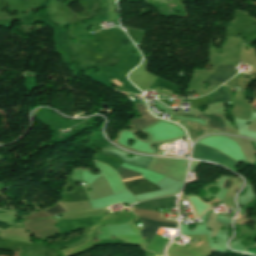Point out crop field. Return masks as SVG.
Returning a JSON list of instances; mask_svg holds the SVG:
<instances>
[{
    "label": "crop field",
    "mask_w": 256,
    "mask_h": 256,
    "mask_svg": "<svg viewBox=\"0 0 256 256\" xmlns=\"http://www.w3.org/2000/svg\"><path fill=\"white\" fill-rule=\"evenodd\" d=\"M115 170L117 171V173L119 174V176L121 177L123 182L144 177L138 171L128 169V168H124V167H119ZM143 179H145V178H143ZM129 182H131V181H129ZM124 185L134 195L141 194V193H146V192H150V191H155V190H160L159 187H157L154 183H152L148 179L140 180V181H136V182H131V183H126Z\"/></svg>",
    "instance_id": "8a807250"
},
{
    "label": "crop field",
    "mask_w": 256,
    "mask_h": 256,
    "mask_svg": "<svg viewBox=\"0 0 256 256\" xmlns=\"http://www.w3.org/2000/svg\"><path fill=\"white\" fill-rule=\"evenodd\" d=\"M176 196L156 199L152 201H144L133 206L135 214H147L157 217H162V213H170V210H162L161 207L176 208L175 206ZM156 209H160L161 212H156Z\"/></svg>",
    "instance_id": "ac0d7876"
},
{
    "label": "crop field",
    "mask_w": 256,
    "mask_h": 256,
    "mask_svg": "<svg viewBox=\"0 0 256 256\" xmlns=\"http://www.w3.org/2000/svg\"><path fill=\"white\" fill-rule=\"evenodd\" d=\"M192 158L211 160L233 169L238 162L226 157L220 152L195 143Z\"/></svg>",
    "instance_id": "34b2d1b8"
},
{
    "label": "crop field",
    "mask_w": 256,
    "mask_h": 256,
    "mask_svg": "<svg viewBox=\"0 0 256 256\" xmlns=\"http://www.w3.org/2000/svg\"><path fill=\"white\" fill-rule=\"evenodd\" d=\"M101 152L107 155L116 156L124 162H127L137 167L145 168V169H147L149 163L153 158V157H146V156L134 155V154H133L134 155L133 158H129L127 157L129 153L120 151L114 148L113 146H110L109 144L103 147Z\"/></svg>",
    "instance_id": "412701ff"
},
{
    "label": "crop field",
    "mask_w": 256,
    "mask_h": 256,
    "mask_svg": "<svg viewBox=\"0 0 256 256\" xmlns=\"http://www.w3.org/2000/svg\"><path fill=\"white\" fill-rule=\"evenodd\" d=\"M134 105L138 112L137 115L141 116V118H133L131 121H129L132 128L131 130L135 132L138 130H142L159 120L158 118L151 115V113L147 109V105L145 104V102L140 103L139 101H134Z\"/></svg>",
    "instance_id": "f4fd0767"
},
{
    "label": "crop field",
    "mask_w": 256,
    "mask_h": 256,
    "mask_svg": "<svg viewBox=\"0 0 256 256\" xmlns=\"http://www.w3.org/2000/svg\"><path fill=\"white\" fill-rule=\"evenodd\" d=\"M235 72L236 70L234 69V66H219L218 69L207 80V82L210 85L223 84V82L230 79Z\"/></svg>",
    "instance_id": "dd49c442"
},
{
    "label": "crop field",
    "mask_w": 256,
    "mask_h": 256,
    "mask_svg": "<svg viewBox=\"0 0 256 256\" xmlns=\"http://www.w3.org/2000/svg\"><path fill=\"white\" fill-rule=\"evenodd\" d=\"M171 114L180 115V116L203 118V119H206L208 126L214 128L216 130H219V131L228 132L222 118L220 116H217V115H214V114L203 113L199 116H195V115H191V114H184V113H171Z\"/></svg>",
    "instance_id": "e52e79f7"
},
{
    "label": "crop field",
    "mask_w": 256,
    "mask_h": 256,
    "mask_svg": "<svg viewBox=\"0 0 256 256\" xmlns=\"http://www.w3.org/2000/svg\"><path fill=\"white\" fill-rule=\"evenodd\" d=\"M137 221L142 222L139 227L141 228L140 231L142 234V238L147 237L146 243L150 241V239L153 237L159 227L175 228V226L172 225L160 224L146 219H138Z\"/></svg>",
    "instance_id": "d8731c3e"
},
{
    "label": "crop field",
    "mask_w": 256,
    "mask_h": 256,
    "mask_svg": "<svg viewBox=\"0 0 256 256\" xmlns=\"http://www.w3.org/2000/svg\"><path fill=\"white\" fill-rule=\"evenodd\" d=\"M230 94H231V89L223 85L213 93L207 95L208 98L210 99V101H208L207 104L217 102V101H231L233 97L230 96Z\"/></svg>",
    "instance_id": "5a996713"
},
{
    "label": "crop field",
    "mask_w": 256,
    "mask_h": 256,
    "mask_svg": "<svg viewBox=\"0 0 256 256\" xmlns=\"http://www.w3.org/2000/svg\"><path fill=\"white\" fill-rule=\"evenodd\" d=\"M187 127L190 131V134H191L193 140H196L197 138L201 137L203 134L212 133L210 131H207L205 129H202L200 127L192 125L190 123H188Z\"/></svg>",
    "instance_id": "3316defc"
},
{
    "label": "crop field",
    "mask_w": 256,
    "mask_h": 256,
    "mask_svg": "<svg viewBox=\"0 0 256 256\" xmlns=\"http://www.w3.org/2000/svg\"><path fill=\"white\" fill-rule=\"evenodd\" d=\"M46 212H48L50 214V216H54L56 213H64L67 212L64 208H62L59 204L54 205L53 208L47 210Z\"/></svg>",
    "instance_id": "28ad6ade"
},
{
    "label": "crop field",
    "mask_w": 256,
    "mask_h": 256,
    "mask_svg": "<svg viewBox=\"0 0 256 256\" xmlns=\"http://www.w3.org/2000/svg\"><path fill=\"white\" fill-rule=\"evenodd\" d=\"M222 180H223V179H222ZM229 181H230V180H226V179H224V180H223L222 185H221V183H220V185H221V186H224V187H227V186H228ZM221 182H222V181H221Z\"/></svg>",
    "instance_id": "d1516ede"
},
{
    "label": "crop field",
    "mask_w": 256,
    "mask_h": 256,
    "mask_svg": "<svg viewBox=\"0 0 256 256\" xmlns=\"http://www.w3.org/2000/svg\"><path fill=\"white\" fill-rule=\"evenodd\" d=\"M113 82L115 83V84H117V85H119L120 83H118L117 81H115V80H113Z\"/></svg>",
    "instance_id": "22f410ed"
},
{
    "label": "crop field",
    "mask_w": 256,
    "mask_h": 256,
    "mask_svg": "<svg viewBox=\"0 0 256 256\" xmlns=\"http://www.w3.org/2000/svg\"><path fill=\"white\" fill-rule=\"evenodd\" d=\"M201 243H202V241H201L199 244H201ZM199 244H198V245H199ZM198 245H196V246H198Z\"/></svg>",
    "instance_id": "cbeb9de0"
}]
</instances>
